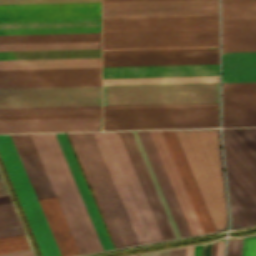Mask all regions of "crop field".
Listing matches in <instances>:
<instances>
[{
	"instance_id": "8a807250",
	"label": "crop field",
	"mask_w": 256,
	"mask_h": 256,
	"mask_svg": "<svg viewBox=\"0 0 256 256\" xmlns=\"http://www.w3.org/2000/svg\"><path fill=\"white\" fill-rule=\"evenodd\" d=\"M92 133L97 142V145L99 147V150L101 152L103 160L106 164V167L108 169V172L110 174L112 182L115 186L117 194L120 198V201L123 205V208L125 210V213L128 217V220L131 224V227L134 231V234L136 236L138 243L142 244V243H148L151 241L153 242V241H159V240H163V239L167 240V239L176 238L173 233V230L171 228V225L168 221L166 213L163 209L161 201L158 197L156 189L153 185L151 177L148 173L146 165L143 161L141 153L138 149L136 141L133 137L132 132L124 131V132H118V133L121 137L123 145L126 149L129 159L132 163L134 171H135L137 178L140 182L142 190L145 194V197L148 201V204L150 206V209L153 213V216L156 220V223L159 227V230L161 232L163 239L160 235L158 227H157L155 220L152 216V213L149 209L147 201H146L144 194L141 190L139 182L136 178V175L133 171V168H132L131 163L128 159V156L125 152V149L122 145V142L120 140L118 133L117 132H106L107 137L110 141L112 149H113L115 156L118 160L120 168H121L123 175L126 179L128 187L131 191V194H132L133 199L136 203V206L139 210V213L141 215V218L144 222V225L147 229V232L149 234L151 241L148 237L146 229H145L143 222L140 218L138 210L135 206V203L132 199L130 191L127 187L125 179L122 175V172L119 168V165L117 163V160L114 156V153L111 149V146L109 144V141H108L105 133L104 132H92Z\"/></svg>"
},
{
	"instance_id": "ac0d7876",
	"label": "crop field",
	"mask_w": 256,
	"mask_h": 256,
	"mask_svg": "<svg viewBox=\"0 0 256 256\" xmlns=\"http://www.w3.org/2000/svg\"><path fill=\"white\" fill-rule=\"evenodd\" d=\"M0 159L41 256L79 254L55 196H34L8 135H0Z\"/></svg>"
},
{
	"instance_id": "34b2d1b8",
	"label": "crop field",
	"mask_w": 256,
	"mask_h": 256,
	"mask_svg": "<svg viewBox=\"0 0 256 256\" xmlns=\"http://www.w3.org/2000/svg\"><path fill=\"white\" fill-rule=\"evenodd\" d=\"M216 231L228 214L219 129L174 130Z\"/></svg>"
},
{
	"instance_id": "412701ff",
	"label": "crop field",
	"mask_w": 256,
	"mask_h": 256,
	"mask_svg": "<svg viewBox=\"0 0 256 256\" xmlns=\"http://www.w3.org/2000/svg\"><path fill=\"white\" fill-rule=\"evenodd\" d=\"M80 254L103 250L54 134H30Z\"/></svg>"
},
{
	"instance_id": "f4fd0767",
	"label": "crop field",
	"mask_w": 256,
	"mask_h": 256,
	"mask_svg": "<svg viewBox=\"0 0 256 256\" xmlns=\"http://www.w3.org/2000/svg\"><path fill=\"white\" fill-rule=\"evenodd\" d=\"M116 248L138 244L91 132L68 133Z\"/></svg>"
},
{
	"instance_id": "dd49c442",
	"label": "crop field",
	"mask_w": 256,
	"mask_h": 256,
	"mask_svg": "<svg viewBox=\"0 0 256 256\" xmlns=\"http://www.w3.org/2000/svg\"><path fill=\"white\" fill-rule=\"evenodd\" d=\"M198 106H216V103L123 105L105 106V109ZM217 115L219 127V103ZM199 126H217L216 107L105 110V129Z\"/></svg>"
},
{
	"instance_id": "e52e79f7",
	"label": "crop field",
	"mask_w": 256,
	"mask_h": 256,
	"mask_svg": "<svg viewBox=\"0 0 256 256\" xmlns=\"http://www.w3.org/2000/svg\"><path fill=\"white\" fill-rule=\"evenodd\" d=\"M223 138L243 159V161L256 174V156L235 134L232 129H222ZM224 141V157L226 170L240 184V186L256 202V175ZM227 174L229 204L232 226L231 228L245 227L256 224V203L239 186V184Z\"/></svg>"
},
{
	"instance_id": "d8731c3e",
	"label": "crop field",
	"mask_w": 256,
	"mask_h": 256,
	"mask_svg": "<svg viewBox=\"0 0 256 256\" xmlns=\"http://www.w3.org/2000/svg\"><path fill=\"white\" fill-rule=\"evenodd\" d=\"M219 102L218 83L103 86V105Z\"/></svg>"
},
{
	"instance_id": "5a996713",
	"label": "crop field",
	"mask_w": 256,
	"mask_h": 256,
	"mask_svg": "<svg viewBox=\"0 0 256 256\" xmlns=\"http://www.w3.org/2000/svg\"><path fill=\"white\" fill-rule=\"evenodd\" d=\"M222 52L256 51L255 19H221ZM256 81V52L222 53V82Z\"/></svg>"
},
{
	"instance_id": "3316defc",
	"label": "crop field",
	"mask_w": 256,
	"mask_h": 256,
	"mask_svg": "<svg viewBox=\"0 0 256 256\" xmlns=\"http://www.w3.org/2000/svg\"><path fill=\"white\" fill-rule=\"evenodd\" d=\"M218 82V64L103 67V85Z\"/></svg>"
},
{
	"instance_id": "28ad6ade",
	"label": "crop field",
	"mask_w": 256,
	"mask_h": 256,
	"mask_svg": "<svg viewBox=\"0 0 256 256\" xmlns=\"http://www.w3.org/2000/svg\"><path fill=\"white\" fill-rule=\"evenodd\" d=\"M101 105V86L0 89V108Z\"/></svg>"
},
{
	"instance_id": "d1516ede",
	"label": "crop field",
	"mask_w": 256,
	"mask_h": 256,
	"mask_svg": "<svg viewBox=\"0 0 256 256\" xmlns=\"http://www.w3.org/2000/svg\"><path fill=\"white\" fill-rule=\"evenodd\" d=\"M218 15V0L102 2V18Z\"/></svg>"
},
{
	"instance_id": "22f410ed",
	"label": "crop field",
	"mask_w": 256,
	"mask_h": 256,
	"mask_svg": "<svg viewBox=\"0 0 256 256\" xmlns=\"http://www.w3.org/2000/svg\"><path fill=\"white\" fill-rule=\"evenodd\" d=\"M218 45V30L102 33V48Z\"/></svg>"
},
{
	"instance_id": "cbeb9de0",
	"label": "crop field",
	"mask_w": 256,
	"mask_h": 256,
	"mask_svg": "<svg viewBox=\"0 0 256 256\" xmlns=\"http://www.w3.org/2000/svg\"><path fill=\"white\" fill-rule=\"evenodd\" d=\"M101 68L4 70L0 88L101 85Z\"/></svg>"
},
{
	"instance_id": "5142ce71",
	"label": "crop field",
	"mask_w": 256,
	"mask_h": 256,
	"mask_svg": "<svg viewBox=\"0 0 256 256\" xmlns=\"http://www.w3.org/2000/svg\"><path fill=\"white\" fill-rule=\"evenodd\" d=\"M100 18V2L0 5V21Z\"/></svg>"
},
{
	"instance_id": "d9b57169",
	"label": "crop field",
	"mask_w": 256,
	"mask_h": 256,
	"mask_svg": "<svg viewBox=\"0 0 256 256\" xmlns=\"http://www.w3.org/2000/svg\"><path fill=\"white\" fill-rule=\"evenodd\" d=\"M100 48V33L0 36V51Z\"/></svg>"
},
{
	"instance_id": "733c2abd",
	"label": "crop field",
	"mask_w": 256,
	"mask_h": 256,
	"mask_svg": "<svg viewBox=\"0 0 256 256\" xmlns=\"http://www.w3.org/2000/svg\"><path fill=\"white\" fill-rule=\"evenodd\" d=\"M218 29V16L102 19V32Z\"/></svg>"
},
{
	"instance_id": "4a817a6b",
	"label": "crop field",
	"mask_w": 256,
	"mask_h": 256,
	"mask_svg": "<svg viewBox=\"0 0 256 256\" xmlns=\"http://www.w3.org/2000/svg\"><path fill=\"white\" fill-rule=\"evenodd\" d=\"M256 114V82L222 83V115ZM256 126V115L222 116V127Z\"/></svg>"
},
{
	"instance_id": "bc2a9ffb",
	"label": "crop field",
	"mask_w": 256,
	"mask_h": 256,
	"mask_svg": "<svg viewBox=\"0 0 256 256\" xmlns=\"http://www.w3.org/2000/svg\"><path fill=\"white\" fill-rule=\"evenodd\" d=\"M100 32V19L0 22V35Z\"/></svg>"
},
{
	"instance_id": "214f88e0",
	"label": "crop field",
	"mask_w": 256,
	"mask_h": 256,
	"mask_svg": "<svg viewBox=\"0 0 256 256\" xmlns=\"http://www.w3.org/2000/svg\"><path fill=\"white\" fill-rule=\"evenodd\" d=\"M218 63V52L103 55V66Z\"/></svg>"
},
{
	"instance_id": "92a150f3",
	"label": "crop field",
	"mask_w": 256,
	"mask_h": 256,
	"mask_svg": "<svg viewBox=\"0 0 256 256\" xmlns=\"http://www.w3.org/2000/svg\"><path fill=\"white\" fill-rule=\"evenodd\" d=\"M82 130H100L99 117L0 121V133Z\"/></svg>"
},
{
	"instance_id": "dafd665d",
	"label": "crop field",
	"mask_w": 256,
	"mask_h": 256,
	"mask_svg": "<svg viewBox=\"0 0 256 256\" xmlns=\"http://www.w3.org/2000/svg\"><path fill=\"white\" fill-rule=\"evenodd\" d=\"M35 195H54L29 134L9 135Z\"/></svg>"
},
{
	"instance_id": "00972430",
	"label": "crop field",
	"mask_w": 256,
	"mask_h": 256,
	"mask_svg": "<svg viewBox=\"0 0 256 256\" xmlns=\"http://www.w3.org/2000/svg\"><path fill=\"white\" fill-rule=\"evenodd\" d=\"M181 237L192 235L148 131H137Z\"/></svg>"
},
{
	"instance_id": "a9b5d70f",
	"label": "crop field",
	"mask_w": 256,
	"mask_h": 256,
	"mask_svg": "<svg viewBox=\"0 0 256 256\" xmlns=\"http://www.w3.org/2000/svg\"><path fill=\"white\" fill-rule=\"evenodd\" d=\"M205 233L215 231L173 130L161 131Z\"/></svg>"
},
{
	"instance_id": "4177f3b9",
	"label": "crop field",
	"mask_w": 256,
	"mask_h": 256,
	"mask_svg": "<svg viewBox=\"0 0 256 256\" xmlns=\"http://www.w3.org/2000/svg\"><path fill=\"white\" fill-rule=\"evenodd\" d=\"M193 235L204 233L160 131H149Z\"/></svg>"
},
{
	"instance_id": "730fd06b",
	"label": "crop field",
	"mask_w": 256,
	"mask_h": 256,
	"mask_svg": "<svg viewBox=\"0 0 256 256\" xmlns=\"http://www.w3.org/2000/svg\"><path fill=\"white\" fill-rule=\"evenodd\" d=\"M104 250L113 248L64 133L55 134Z\"/></svg>"
},
{
	"instance_id": "eef30255",
	"label": "crop field",
	"mask_w": 256,
	"mask_h": 256,
	"mask_svg": "<svg viewBox=\"0 0 256 256\" xmlns=\"http://www.w3.org/2000/svg\"><path fill=\"white\" fill-rule=\"evenodd\" d=\"M82 67H101L100 58L0 61V70Z\"/></svg>"
},
{
	"instance_id": "ae1a2a85",
	"label": "crop field",
	"mask_w": 256,
	"mask_h": 256,
	"mask_svg": "<svg viewBox=\"0 0 256 256\" xmlns=\"http://www.w3.org/2000/svg\"><path fill=\"white\" fill-rule=\"evenodd\" d=\"M100 57V49L0 52V60Z\"/></svg>"
},
{
	"instance_id": "d3111659",
	"label": "crop field",
	"mask_w": 256,
	"mask_h": 256,
	"mask_svg": "<svg viewBox=\"0 0 256 256\" xmlns=\"http://www.w3.org/2000/svg\"><path fill=\"white\" fill-rule=\"evenodd\" d=\"M82 112H101V106L0 109V115H6V114H44V113H82Z\"/></svg>"
},
{
	"instance_id": "750c4746",
	"label": "crop field",
	"mask_w": 256,
	"mask_h": 256,
	"mask_svg": "<svg viewBox=\"0 0 256 256\" xmlns=\"http://www.w3.org/2000/svg\"><path fill=\"white\" fill-rule=\"evenodd\" d=\"M218 51V46L103 49V54Z\"/></svg>"
},
{
	"instance_id": "bd1437ed",
	"label": "crop field",
	"mask_w": 256,
	"mask_h": 256,
	"mask_svg": "<svg viewBox=\"0 0 256 256\" xmlns=\"http://www.w3.org/2000/svg\"><path fill=\"white\" fill-rule=\"evenodd\" d=\"M256 2L221 3V18H255Z\"/></svg>"
},
{
	"instance_id": "1d83c4d3",
	"label": "crop field",
	"mask_w": 256,
	"mask_h": 256,
	"mask_svg": "<svg viewBox=\"0 0 256 256\" xmlns=\"http://www.w3.org/2000/svg\"><path fill=\"white\" fill-rule=\"evenodd\" d=\"M132 132H133V134H134V136H135V139H136V141H137V144H138V146H139V148H140V151H141V153H142V156H143V158H144V160H145V163H146L147 168H148V170H149V172H150V175H151L152 180H153V182H154V184H155V187H156L157 192H158V194H159V196H160V199H161V201H162V204H163V206H164V208H165V211H166V213H167V216H168V218H169V220H170V223H171V225H172V228H173V230H174V232H175V235H176L177 238H179L180 236H179L178 231H177V229H176V227H175V224H174L173 219H172V217H171V214H170V212H169V210H168V207H167V205H166V202H165V200H164V197H163V195H162V193H161V190H160V188H159V185H158V183H157V180H156V178H155V175H154V173H153V171H152V168H151V166H150V163H149V161H148V158H147V156H146V154H145V151H144V149H143V146H142V144H141V141H140V139H139V137H138V134H137L136 131H132Z\"/></svg>"
},
{
	"instance_id": "120bbe31",
	"label": "crop field",
	"mask_w": 256,
	"mask_h": 256,
	"mask_svg": "<svg viewBox=\"0 0 256 256\" xmlns=\"http://www.w3.org/2000/svg\"><path fill=\"white\" fill-rule=\"evenodd\" d=\"M20 224L11 203L0 205V227Z\"/></svg>"
},
{
	"instance_id": "d32e631a",
	"label": "crop field",
	"mask_w": 256,
	"mask_h": 256,
	"mask_svg": "<svg viewBox=\"0 0 256 256\" xmlns=\"http://www.w3.org/2000/svg\"><path fill=\"white\" fill-rule=\"evenodd\" d=\"M86 116H101V113L44 114V115H6V116H0V120L1 119L58 118V117H86Z\"/></svg>"
},
{
	"instance_id": "5866460e",
	"label": "crop field",
	"mask_w": 256,
	"mask_h": 256,
	"mask_svg": "<svg viewBox=\"0 0 256 256\" xmlns=\"http://www.w3.org/2000/svg\"><path fill=\"white\" fill-rule=\"evenodd\" d=\"M233 130L256 155V128H236Z\"/></svg>"
},
{
	"instance_id": "028f5c9d",
	"label": "crop field",
	"mask_w": 256,
	"mask_h": 256,
	"mask_svg": "<svg viewBox=\"0 0 256 256\" xmlns=\"http://www.w3.org/2000/svg\"><path fill=\"white\" fill-rule=\"evenodd\" d=\"M25 238L21 225L0 228V242Z\"/></svg>"
},
{
	"instance_id": "e1f06a70",
	"label": "crop field",
	"mask_w": 256,
	"mask_h": 256,
	"mask_svg": "<svg viewBox=\"0 0 256 256\" xmlns=\"http://www.w3.org/2000/svg\"><path fill=\"white\" fill-rule=\"evenodd\" d=\"M30 249L26 239L0 243V254Z\"/></svg>"
},
{
	"instance_id": "0bd39190",
	"label": "crop field",
	"mask_w": 256,
	"mask_h": 256,
	"mask_svg": "<svg viewBox=\"0 0 256 256\" xmlns=\"http://www.w3.org/2000/svg\"><path fill=\"white\" fill-rule=\"evenodd\" d=\"M241 256H256V236L243 238Z\"/></svg>"
},
{
	"instance_id": "b80d0937",
	"label": "crop field",
	"mask_w": 256,
	"mask_h": 256,
	"mask_svg": "<svg viewBox=\"0 0 256 256\" xmlns=\"http://www.w3.org/2000/svg\"><path fill=\"white\" fill-rule=\"evenodd\" d=\"M100 0H0V4H19V3H51V2H84Z\"/></svg>"
},
{
	"instance_id": "c035e120",
	"label": "crop field",
	"mask_w": 256,
	"mask_h": 256,
	"mask_svg": "<svg viewBox=\"0 0 256 256\" xmlns=\"http://www.w3.org/2000/svg\"><path fill=\"white\" fill-rule=\"evenodd\" d=\"M241 243H242V238L229 240L227 256H240Z\"/></svg>"
},
{
	"instance_id": "c21b1889",
	"label": "crop field",
	"mask_w": 256,
	"mask_h": 256,
	"mask_svg": "<svg viewBox=\"0 0 256 256\" xmlns=\"http://www.w3.org/2000/svg\"><path fill=\"white\" fill-rule=\"evenodd\" d=\"M177 253H178V249L170 250V256H177ZM185 254H186V248L179 249L178 256H185ZM142 256H169V250L152 253V254H147V255H142Z\"/></svg>"
},
{
	"instance_id": "03da06ac",
	"label": "crop field",
	"mask_w": 256,
	"mask_h": 256,
	"mask_svg": "<svg viewBox=\"0 0 256 256\" xmlns=\"http://www.w3.org/2000/svg\"><path fill=\"white\" fill-rule=\"evenodd\" d=\"M224 241L212 243L211 256H223Z\"/></svg>"
},
{
	"instance_id": "b54c1fbb",
	"label": "crop field",
	"mask_w": 256,
	"mask_h": 256,
	"mask_svg": "<svg viewBox=\"0 0 256 256\" xmlns=\"http://www.w3.org/2000/svg\"><path fill=\"white\" fill-rule=\"evenodd\" d=\"M0 256H32V253L30 250H27V251L15 252V253L3 254Z\"/></svg>"
},
{
	"instance_id": "5d738f31",
	"label": "crop field",
	"mask_w": 256,
	"mask_h": 256,
	"mask_svg": "<svg viewBox=\"0 0 256 256\" xmlns=\"http://www.w3.org/2000/svg\"><path fill=\"white\" fill-rule=\"evenodd\" d=\"M211 243L202 245L201 256H210Z\"/></svg>"
},
{
	"instance_id": "d23c7cc5",
	"label": "crop field",
	"mask_w": 256,
	"mask_h": 256,
	"mask_svg": "<svg viewBox=\"0 0 256 256\" xmlns=\"http://www.w3.org/2000/svg\"><path fill=\"white\" fill-rule=\"evenodd\" d=\"M8 202H11L8 195H6V196H0V204H2V203H8Z\"/></svg>"
},
{
	"instance_id": "425ffa30",
	"label": "crop field",
	"mask_w": 256,
	"mask_h": 256,
	"mask_svg": "<svg viewBox=\"0 0 256 256\" xmlns=\"http://www.w3.org/2000/svg\"><path fill=\"white\" fill-rule=\"evenodd\" d=\"M5 194H8L2 181L0 180V195H5Z\"/></svg>"
},
{
	"instance_id": "25e5ab78",
	"label": "crop field",
	"mask_w": 256,
	"mask_h": 256,
	"mask_svg": "<svg viewBox=\"0 0 256 256\" xmlns=\"http://www.w3.org/2000/svg\"><path fill=\"white\" fill-rule=\"evenodd\" d=\"M201 245L195 246L194 256H200Z\"/></svg>"
},
{
	"instance_id": "73cf0c24",
	"label": "crop field",
	"mask_w": 256,
	"mask_h": 256,
	"mask_svg": "<svg viewBox=\"0 0 256 256\" xmlns=\"http://www.w3.org/2000/svg\"><path fill=\"white\" fill-rule=\"evenodd\" d=\"M193 250H194V246L188 247V248H187V254H186V256H193Z\"/></svg>"
},
{
	"instance_id": "89e229c0",
	"label": "crop field",
	"mask_w": 256,
	"mask_h": 256,
	"mask_svg": "<svg viewBox=\"0 0 256 256\" xmlns=\"http://www.w3.org/2000/svg\"><path fill=\"white\" fill-rule=\"evenodd\" d=\"M239 1H256V0H222V2H239Z\"/></svg>"
},
{
	"instance_id": "1f2cbd36",
	"label": "crop field",
	"mask_w": 256,
	"mask_h": 256,
	"mask_svg": "<svg viewBox=\"0 0 256 256\" xmlns=\"http://www.w3.org/2000/svg\"><path fill=\"white\" fill-rule=\"evenodd\" d=\"M102 1H121V0H102Z\"/></svg>"
},
{
	"instance_id": "dbb93151",
	"label": "crop field",
	"mask_w": 256,
	"mask_h": 256,
	"mask_svg": "<svg viewBox=\"0 0 256 256\" xmlns=\"http://www.w3.org/2000/svg\"><path fill=\"white\" fill-rule=\"evenodd\" d=\"M1 179V178H0Z\"/></svg>"
}]
</instances>
